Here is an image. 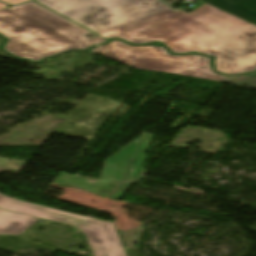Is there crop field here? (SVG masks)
Segmentation results:
<instances>
[{"mask_svg": "<svg viewBox=\"0 0 256 256\" xmlns=\"http://www.w3.org/2000/svg\"><path fill=\"white\" fill-rule=\"evenodd\" d=\"M0 208L41 217L84 231L93 256H127L113 222L24 202L1 193Z\"/></svg>", "mask_w": 256, "mask_h": 256, "instance_id": "crop-field-4", "label": "crop field"}, {"mask_svg": "<svg viewBox=\"0 0 256 256\" xmlns=\"http://www.w3.org/2000/svg\"><path fill=\"white\" fill-rule=\"evenodd\" d=\"M151 136H152L151 134H147V133L144 134L142 143L140 145V148H139V151H138V154H137V157L135 159V162H134L133 166H136V167H141L142 166V163H143L144 158H145L144 153H145L146 149L149 147Z\"/></svg>", "mask_w": 256, "mask_h": 256, "instance_id": "crop-field-9", "label": "crop field"}, {"mask_svg": "<svg viewBox=\"0 0 256 256\" xmlns=\"http://www.w3.org/2000/svg\"><path fill=\"white\" fill-rule=\"evenodd\" d=\"M162 1H164L165 3L171 6L177 0H162Z\"/></svg>", "mask_w": 256, "mask_h": 256, "instance_id": "crop-field-12", "label": "crop field"}, {"mask_svg": "<svg viewBox=\"0 0 256 256\" xmlns=\"http://www.w3.org/2000/svg\"><path fill=\"white\" fill-rule=\"evenodd\" d=\"M5 1L6 3H8L9 5H15L17 3H21V2H24V1H28V0H3ZM4 2V3H5Z\"/></svg>", "mask_w": 256, "mask_h": 256, "instance_id": "crop-field-11", "label": "crop field"}, {"mask_svg": "<svg viewBox=\"0 0 256 256\" xmlns=\"http://www.w3.org/2000/svg\"><path fill=\"white\" fill-rule=\"evenodd\" d=\"M61 16L33 3L0 11V34L9 41L4 49L18 57L41 61L68 50H86L96 43H106L97 36Z\"/></svg>", "mask_w": 256, "mask_h": 256, "instance_id": "crop-field-2", "label": "crop field"}, {"mask_svg": "<svg viewBox=\"0 0 256 256\" xmlns=\"http://www.w3.org/2000/svg\"><path fill=\"white\" fill-rule=\"evenodd\" d=\"M110 39L131 44L162 41L173 54L215 56L223 74L256 70V26L207 4L185 13L158 0H37Z\"/></svg>", "mask_w": 256, "mask_h": 256, "instance_id": "crop-field-1", "label": "crop field"}, {"mask_svg": "<svg viewBox=\"0 0 256 256\" xmlns=\"http://www.w3.org/2000/svg\"><path fill=\"white\" fill-rule=\"evenodd\" d=\"M38 219L0 209V235H20Z\"/></svg>", "mask_w": 256, "mask_h": 256, "instance_id": "crop-field-7", "label": "crop field"}, {"mask_svg": "<svg viewBox=\"0 0 256 256\" xmlns=\"http://www.w3.org/2000/svg\"><path fill=\"white\" fill-rule=\"evenodd\" d=\"M139 140L132 142L118 154L106 160L101 180L61 174L54 183L88 190L101 196L118 200L130 185L125 183V179L131 167Z\"/></svg>", "mask_w": 256, "mask_h": 256, "instance_id": "crop-field-5", "label": "crop field"}, {"mask_svg": "<svg viewBox=\"0 0 256 256\" xmlns=\"http://www.w3.org/2000/svg\"><path fill=\"white\" fill-rule=\"evenodd\" d=\"M224 82L256 87V73L231 77Z\"/></svg>", "mask_w": 256, "mask_h": 256, "instance_id": "crop-field-8", "label": "crop field"}, {"mask_svg": "<svg viewBox=\"0 0 256 256\" xmlns=\"http://www.w3.org/2000/svg\"><path fill=\"white\" fill-rule=\"evenodd\" d=\"M256 25V0H200Z\"/></svg>", "mask_w": 256, "mask_h": 256, "instance_id": "crop-field-6", "label": "crop field"}, {"mask_svg": "<svg viewBox=\"0 0 256 256\" xmlns=\"http://www.w3.org/2000/svg\"><path fill=\"white\" fill-rule=\"evenodd\" d=\"M7 7H9V6H7V5H5V4H3V3L0 2V10H1V9H4V8H7Z\"/></svg>", "mask_w": 256, "mask_h": 256, "instance_id": "crop-field-13", "label": "crop field"}, {"mask_svg": "<svg viewBox=\"0 0 256 256\" xmlns=\"http://www.w3.org/2000/svg\"><path fill=\"white\" fill-rule=\"evenodd\" d=\"M143 171H144V168L133 167L131 172H130V175H129L128 179H127V182H129V183H136V182H138V180L140 179Z\"/></svg>", "mask_w": 256, "mask_h": 256, "instance_id": "crop-field-10", "label": "crop field"}, {"mask_svg": "<svg viewBox=\"0 0 256 256\" xmlns=\"http://www.w3.org/2000/svg\"><path fill=\"white\" fill-rule=\"evenodd\" d=\"M118 63L141 69L168 72L222 81L228 77L215 73L212 58L199 55L171 56L160 45L131 46L119 40L93 50Z\"/></svg>", "mask_w": 256, "mask_h": 256, "instance_id": "crop-field-3", "label": "crop field"}]
</instances>
